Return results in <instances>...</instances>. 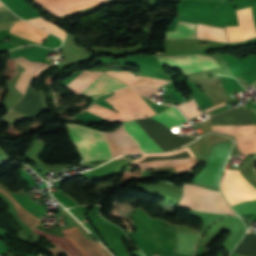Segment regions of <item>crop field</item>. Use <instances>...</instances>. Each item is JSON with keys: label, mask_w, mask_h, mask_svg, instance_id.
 I'll list each match as a JSON object with an SVG mask.
<instances>
[{"label": "crop field", "mask_w": 256, "mask_h": 256, "mask_svg": "<svg viewBox=\"0 0 256 256\" xmlns=\"http://www.w3.org/2000/svg\"><path fill=\"white\" fill-rule=\"evenodd\" d=\"M152 119L169 129L186 122L179 111L172 106L152 117ZM66 125L69 129L72 141L83 155L84 161L100 159L111 160L104 132L95 131L79 125ZM122 125L142 152L162 151L135 121L125 122L122 123Z\"/></svg>", "instance_id": "obj_1"}, {"label": "crop field", "mask_w": 256, "mask_h": 256, "mask_svg": "<svg viewBox=\"0 0 256 256\" xmlns=\"http://www.w3.org/2000/svg\"><path fill=\"white\" fill-rule=\"evenodd\" d=\"M184 194L179 206L219 214H234L223 202L218 191L201 188L197 185L185 184Z\"/></svg>", "instance_id": "obj_2"}, {"label": "crop field", "mask_w": 256, "mask_h": 256, "mask_svg": "<svg viewBox=\"0 0 256 256\" xmlns=\"http://www.w3.org/2000/svg\"><path fill=\"white\" fill-rule=\"evenodd\" d=\"M66 237L82 252L83 256H102L94 242L86 239L77 229L71 228L63 230ZM33 232L43 236L48 241L60 245L69 256H82L80 251L66 238L50 235L34 229Z\"/></svg>", "instance_id": "obj_3"}, {"label": "crop field", "mask_w": 256, "mask_h": 256, "mask_svg": "<svg viewBox=\"0 0 256 256\" xmlns=\"http://www.w3.org/2000/svg\"><path fill=\"white\" fill-rule=\"evenodd\" d=\"M126 96L138 107V109L147 117L155 115V113L145 104L139 94L134 92L130 88L122 89ZM122 90H117L115 93L121 98V100L133 111L138 118H146L136 106L125 96ZM114 95L109 99L113 108L117 109L118 112L125 118L126 121L137 119L132 111L120 100L117 95ZM108 99L100 102L99 104L110 108L111 104Z\"/></svg>", "instance_id": "obj_4"}, {"label": "crop field", "mask_w": 256, "mask_h": 256, "mask_svg": "<svg viewBox=\"0 0 256 256\" xmlns=\"http://www.w3.org/2000/svg\"><path fill=\"white\" fill-rule=\"evenodd\" d=\"M107 77L109 76L101 72H90L86 70L74 80H72L67 86L70 87L71 90H77L89 85L96 84L106 79ZM123 87L128 86L122 81L109 77L108 79L97 85L86 87L75 92L79 95H98L102 93L112 92L116 89Z\"/></svg>", "instance_id": "obj_5"}, {"label": "crop field", "mask_w": 256, "mask_h": 256, "mask_svg": "<svg viewBox=\"0 0 256 256\" xmlns=\"http://www.w3.org/2000/svg\"><path fill=\"white\" fill-rule=\"evenodd\" d=\"M221 188L231 205L256 199V189L237 170H226Z\"/></svg>", "instance_id": "obj_6"}, {"label": "crop field", "mask_w": 256, "mask_h": 256, "mask_svg": "<svg viewBox=\"0 0 256 256\" xmlns=\"http://www.w3.org/2000/svg\"><path fill=\"white\" fill-rule=\"evenodd\" d=\"M161 55H165V54L158 53L155 56H161ZM157 58L159 62L163 64L171 65L181 70L185 74L207 70L215 67H220L214 59L204 54H190V55H183V56H161Z\"/></svg>", "instance_id": "obj_7"}, {"label": "crop field", "mask_w": 256, "mask_h": 256, "mask_svg": "<svg viewBox=\"0 0 256 256\" xmlns=\"http://www.w3.org/2000/svg\"><path fill=\"white\" fill-rule=\"evenodd\" d=\"M232 144L233 142H226L214 146L207 167L193 181L217 186Z\"/></svg>", "instance_id": "obj_8"}, {"label": "crop field", "mask_w": 256, "mask_h": 256, "mask_svg": "<svg viewBox=\"0 0 256 256\" xmlns=\"http://www.w3.org/2000/svg\"><path fill=\"white\" fill-rule=\"evenodd\" d=\"M212 129L234 135L242 153L256 148V126H212Z\"/></svg>", "instance_id": "obj_9"}, {"label": "crop field", "mask_w": 256, "mask_h": 256, "mask_svg": "<svg viewBox=\"0 0 256 256\" xmlns=\"http://www.w3.org/2000/svg\"><path fill=\"white\" fill-rule=\"evenodd\" d=\"M236 12H237L239 26L226 27L229 41L230 42H237V41L246 40V39H248V37H249V39L253 38L254 35H253V30H252V25H251V20H250V15H249L248 8L242 10L244 20H245V24H246L248 37H247L245 25H244L242 12H241V10L236 11Z\"/></svg>", "instance_id": "obj_10"}, {"label": "crop field", "mask_w": 256, "mask_h": 256, "mask_svg": "<svg viewBox=\"0 0 256 256\" xmlns=\"http://www.w3.org/2000/svg\"><path fill=\"white\" fill-rule=\"evenodd\" d=\"M105 73H107L108 75L114 78L124 81L130 86L148 85V86H155L158 88L161 85L170 82L167 80L152 79V78H147L142 76L135 77L134 75H132L130 72H127V71L110 70Z\"/></svg>", "instance_id": "obj_11"}, {"label": "crop field", "mask_w": 256, "mask_h": 256, "mask_svg": "<svg viewBox=\"0 0 256 256\" xmlns=\"http://www.w3.org/2000/svg\"><path fill=\"white\" fill-rule=\"evenodd\" d=\"M10 33L34 41L38 44L41 43V41L48 35V33L24 22H16L12 29L10 30Z\"/></svg>", "instance_id": "obj_12"}, {"label": "crop field", "mask_w": 256, "mask_h": 256, "mask_svg": "<svg viewBox=\"0 0 256 256\" xmlns=\"http://www.w3.org/2000/svg\"><path fill=\"white\" fill-rule=\"evenodd\" d=\"M15 60L17 61V63H19L20 65H22L26 69L23 72L21 78L19 79V81L16 85L18 90L23 93L27 80L33 74L37 73L38 71H40L42 68L46 67L47 65H45L43 63L31 62V61H29V60H27L23 57H18Z\"/></svg>", "instance_id": "obj_13"}, {"label": "crop field", "mask_w": 256, "mask_h": 256, "mask_svg": "<svg viewBox=\"0 0 256 256\" xmlns=\"http://www.w3.org/2000/svg\"><path fill=\"white\" fill-rule=\"evenodd\" d=\"M177 234V252L190 255L194 254L195 241L202 233H178Z\"/></svg>", "instance_id": "obj_14"}, {"label": "crop field", "mask_w": 256, "mask_h": 256, "mask_svg": "<svg viewBox=\"0 0 256 256\" xmlns=\"http://www.w3.org/2000/svg\"><path fill=\"white\" fill-rule=\"evenodd\" d=\"M196 37L197 39H209L228 42L224 29L199 24H197Z\"/></svg>", "instance_id": "obj_15"}, {"label": "crop field", "mask_w": 256, "mask_h": 256, "mask_svg": "<svg viewBox=\"0 0 256 256\" xmlns=\"http://www.w3.org/2000/svg\"><path fill=\"white\" fill-rule=\"evenodd\" d=\"M179 23V22H178ZM195 24L180 22L176 31H194ZM172 38H195L194 32H167L166 39Z\"/></svg>", "instance_id": "obj_16"}, {"label": "crop field", "mask_w": 256, "mask_h": 256, "mask_svg": "<svg viewBox=\"0 0 256 256\" xmlns=\"http://www.w3.org/2000/svg\"><path fill=\"white\" fill-rule=\"evenodd\" d=\"M0 192L4 194L8 199H10L15 205L18 216L22 219V221L30 228L37 225L39 220L33 217L30 213L26 212L11 196H9L6 192L0 189Z\"/></svg>", "instance_id": "obj_17"}, {"label": "crop field", "mask_w": 256, "mask_h": 256, "mask_svg": "<svg viewBox=\"0 0 256 256\" xmlns=\"http://www.w3.org/2000/svg\"><path fill=\"white\" fill-rule=\"evenodd\" d=\"M59 37L62 38V40L64 41L65 36H66V32L59 29L56 25L52 24V23H48L47 21H45L44 19L40 18H36V19H31V20H27Z\"/></svg>", "instance_id": "obj_18"}, {"label": "crop field", "mask_w": 256, "mask_h": 256, "mask_svg": "<svg viewBox=\"0 0 256 256\" xmlns=\"http://www.w3.org/2000/svg\"><path fill=\"white\" fill-rule=\"evenodd\" d=\"M176 107L181 111L187 120L202 114L194 99H191L190 101Z\"/></svg>", "instance_id": "obj_19"}, {"label": "crop field", "mask_w": 256, "mask_h": 256, "mask_svg": "<svg viewBox=\"0 0 256 256\" xmlns=\"http://www.w3.org/2000/svg\"><path fill=\"white\" fill-rule=\"evenodd\" d=\"M222 85L224 86V88L226 89V91L229 93V94H233L234 91H245L239 84V82L236 81L235 78H228L226 79L225 81L221 82Z\"/></svg>", "instance_id": "obj_20"}, {"label": "crop field", "mask_w": 256, "mask_h": 256, "mask_svg": "<svg viewBox=\"0 0 256 256\" xmlns=\"http://www.w3.org/2000/svg\"><path fill=\"white\" fill-rule=\"evenodd\" d=\"M133 89H135L139 93H141V94H143L145 96H149V97H151L152 94H155L157 92L156 89L148 87V86L135 87Z\"/></svg>", "instance_id": "obj_21"}, {"label": "crop field", "mask_w": 256, "mask_h": 256, "mask_svg": "<svg viewBox=\"0 0 256 256\" xmlns=\"http://www.w3.org/2000/svg\"><path fill=\"white\" fill-rule=\"evenodd\" d=\"M41 7H43L45 10H47L48 12L61 17L59 14H57L52 8H50L46 3H44L42 0H35Z\"/></svg>", "instance_id": "obj_22"}, {"label": "crop field", "mask_w": 256, "mask_h": 256, "mask_svg": "<svg viewBox=\"0 0 256 256\" xmlns=\"http://www.w3.org/2000/svg\"><path fill=\"white\" fill-rule=\"evenodd\" d=\"M224 105H227V104H226V102L221 103V104L216 105V106H213V107H211V108H208V109L204 110V112H205V113H207V112H209V111H211V110H213V109H216V108L222 107V106H224Z\"/></svg>", "instance_id": "obj_23"}, {"label": "crop field", "mask_w": 256, "mask_h": 256, "mask_svg": "<svg viewBox=\"0 0 256 256\" xmlns=\"http://www.w3.org/2000/svg\"><path fill=\"white\" fill-rule=\"evenodd\" d=\"M3 6L1 3H0V7Z\"/></svg>", "instance_id": "obj_24"}, {"label": "crop field", "mask_w": 256, "mask_h": 256, "mask_svg": "<svg viewBox=\"0 0 256 256\" xmlns=\"http://www.w3.org/2000/svg\"><path fill=\"white\" fill-rule=\"evenodd\" d=\"M109 1H113V0H109Z\"/></svg>", "instance_id": "obj_25"}]
</instances>
